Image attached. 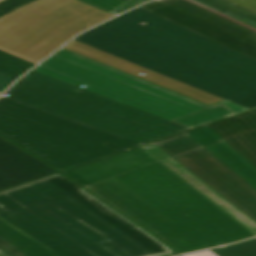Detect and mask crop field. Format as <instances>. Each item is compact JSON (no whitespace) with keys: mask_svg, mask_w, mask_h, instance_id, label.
<instances>
[{"mask_svg":"<svg viewBox=\"0 0 256 256\" xmlns=\"http://www.w3.org/2000/svg\"><path fill=\"white\" fill-rule=\"evenodd\" d=\"M219 256H256V238L237 244L228 246L227 248L214 249Z\"/></svg>","mask_w":256,"mask_h":256,"instance_id":"crop-field-19","label":"crop field"},{"mask_svg":"<svg viewBox=\"0 0 256 256\" xmlns=\"http://www.w3.org/2000/svg\"><path fill=\"white\" fill-rule=\"evenodd\" d=\"M76 169L84 174L86 177L91 179L93 182L98 184L104 190L109 192L111 195L116 197L122 203L127 205L129 208L134 210L140 216L145 218L151 224L156 226L158 229L163 231L169 237L181 244L187 250L191 251L195 249H200L188 239H186L184 236H182L180 233H178L176 230H174L172 227H170L168 224H166L164 221H162L160 218H158L156 215H154L152 212H150L148 209H146L144 206H142L140 203H138L136 200H134L132 197H130L131 195L129 196L128 194H126L127 192L125 193L124 191H122L123 189L121 190L120 188H118L119 186L117 187L116 185H114L115 183L113 184L112 182H110L111 180L109 181L107 178H105L106 176L104 177L89 164Z\"/></svg>","mask_w":256,"mask_h":256,"instance_id":"crop-field-12","label":"crop field"},{"mask_svg":"<svg viewBox=\"0 0 256 256\" xmlns=\"http://www.w3.org/2000/svg\"><path fill=\"white\" fill-rule=\"evenodd\" d=\"M104 11L117 15L140 3L150 0H80Z\"/></svg>","mask_w":256,"mask_h":256,"instance_id":"crop-field-18","label":"crop field"},{"mask_svg":"<svg viewBox=\"0 0 256 256\" xmlns=\"http://www.w3.org/2000/svg\"><path fill=\"white\" fill-rule=\"evenodd\" d=\"M182 256H217V255L214 252H212L211 250H208V251L192 253V254H187V255H182Z\"/></svg>","mask_w":256,"mask_h":256,"instance_id":"crop-field-21","label":"crop field"},{"mask_svg":"<svg viewBox=\"0 0 256 256\" xmlns=\"http://www.w3.org/2000/svg\"><path fill=\"white\" fill-rule=\"evenodd\" d=\"M147 152L152 156L158 159L161 163L183 178L186 182L208 197L211 201L229 213L232 217L250 229L256 234V222L245 215L242 211L220 196L217 192L199 180L196 176L174 161L171 157L157 148L155 145L151 144L146 147H143ZM253 233V234H254Z\"/></svg>","mask_w":256,"mask_h":256,"instance_id":"crop-field-14","label":"crop field"},{"mask_svg":"<svg viewBox=\"0 0 256 256\" xmlns=\"http://www.w3.org/2000/svg\"><path fill=\"white\" fill-rule=\"evenodd\" d=\"M16 78L0 73V93H2Z\"/></svg>","mask_w":256,"mask_h":256,"instance_id":"crop-field-20","label":"crop field"},{"mask_svg":"<svg viewBox=\"0 0 256 256\" xmlns=\"http://www.w3.org/2000/svg\"><path fill=\"white\" fill-rule=\"evenodd\" d=\"M34 71L191 128L250 111L75 40Z\"/></svg>","mask_w":256,"mask_h":256,"instance_id":"crop-field-3","label":"crop field"},{"mask_svg":"<svg viewBox=\"0 0 256 256\" xmlns=\"http://www.w3.org/2000/svg\"><path fill=\"white\" fill-rule=\"evenodd\" d=\"M256 59V32L186 0H160L140 6Z\"/></svg>","mask_w":256,"mask_h":256,"instance_id":"crop-field-9","label":"crop field"},{"mask_svg":"<svg viewBox=\"0 0 256 256\" xmlns=\"http://www.w3.org/2000/svg\"><path fill=\"white\" fill-rule=\"evenodd\" d=\"M6 93L11 94L8 98L142 144L191 129L34 71Z\"/></svg>","mask_w":256,"mask_h":256,"instance_id":"crop-field-5","label":"crop field"},{"mask_svg":"<svg viewBox=\"0 0 256 256\" xmlns=\"http://www.w3.org/2000/svg\"><path fill=\"white\" fill-rule=\"evenodd\" d=\"M57 173L0 137V190Z\"/></svg>","mask_w":256,"mask_h":256,"instance_id":"crop-field-10","label":"crop field"},{"mask_svg":"<svg viewBox=\"0 0 256 256\" xmlns=\"http://www.w3.org/2000/svg\"><path fill=\"white\" fill-rule=\"evenodd\" d=\"M32 1L34 0H4L0 2V16ZM33 66L35 64L0 50V72L19 78Z\"/></svg>","mask_w":256,"mask_h":256,"instance_id":"crop-field-17","label":"crop field"},{"mask_svg":"<svg viewBox=\"0 0 256 256\" xmlns=\"http://www.w3.org/2000/svg\"><path fill=\"white\" fill-rule=\"evenodd\" d=\"M187 134L256 190V165L229 143L207 126Z\"/></svg>","mask_w":256,"mask_h":256,"instance_id":"crop-field-11","label":"crop field"},{"mask_svg":"<svg viewBox=\"0 0 256 256\" xmlns=\"http://www.w3.org/2000/svg\"><path fill=\"white\" fill-rule=\"evenodd\" d=\"M65 175L76 181L81 186L85 187L86 189L92 191L94 194H96L98 197H100L102 200L110 203L112 206H114L116 209H118L120 212L128 216L129 218L135 220L151 232H153L155 235H157L159 238L165 240L170 246H172L177 252L179 253H185L188 252L185 248H183L181 245L176 243L174 240L169 238L167 235H165L163 232L158 230L156 227L151 225L149 222H147L145 219L140 217L138 214H136L134 211L129 209L127 206L122 204L120 201H118L116 198L111 196L109 193L104 191L102 188H100L98 185L93 183L91 180L86 178L84 175L79 173L77 170L73 169L70 171L63 172ZM91 192V193H92ZM109 204V205H110Z\"/></svg>","mask_w":256,"mask_h":256,"instance_id":"crop-field-16","label":"crop field"},{"mask_svg":"<svg viewBox=\"0 0 256 256\" xmlns=\"http://www.w3.org/2000/svg\"><path fill=\"white\" fill-rule=\"evenodd\" d=\"M112 16L78 0H41L0 19V49L37 64Z\"/></svg>","mask_w":256,"mask_h":256,"instance_id":"crop-field-7","label":"crop field"},{"mask_svg":"<svg viewBox=\"0 0 256 256\" xmlns=\"http://www.w3.org/2000/svg\"><path fill=\"white\" fill-rule=\"evenodd\" d=\"M0 1H2V0H0Z\"/></svg>","mask_w":256,"mask_h":256,"instance_id":"crop-field-22","label":"crop field"},{"mask_svg":"<svg viewBox=\"0 0 256 256\" xmlns=\"http://www.w3.org/2000/svg\"><path fill=\"white\" fill-rule=\"evenodd\" d=\"M208 127L256 164V110Z\"/></svg>","mask_w":256,"mask_h":256,"instance_id":"crop-field-13","label":"crop field"},{"mask_svg":"<svg viewBox=\"0 0 256 256\" xmlns=\"http://www.w3.org/2000/svg\"><path fill=\"white\" fill-rule=\"evenodd\" d=\"M75 40L250 110L256 108L255 59L140 7Z\"/></svg>","mask_w":256,"mask_h":256,"instance_id":"crop-field-2","label":"crop field"},{"mask_svg":"<svg viewBox=\"0 0 256 256\" xmlns=\"http://www.w3.org/2000/svg\"><path fill=\"white\" fill-rule=\"evenodd\" d=\"M154 144L256 221V191L186 133Z\"/></svg>","mask_w":256,"mask_h":256,"instance_id":"crop-field-8","label":"crop field"},{"mask_svg":"<svg viewBox=\"0 0 256 256\" xmlns=\"http://www.w3.org/2000/svg\"><path fill=\"white\" fill-rule=\"evenodd\" d=\"M90 165L201 249L255 236L142 148Z\"/></svg>","mask_w":256,"mask_h":256,"instance_id":"crop-field-4","label":"crop field"},{"mask_svg":"<svg viewBox=\"0 0 256 256\" xmlns=\"http://www.w3.org/2000/svg\"><path fill=\"white\" fill-rule=\"evenodd\" d=\"M256 31V0H188Z\"/></svg>","mask_w":256,"mask_h":256,"instance_id":"crop-field-15","label":"crop field"},{"mask_svg":"<svg viewBox=\"0 0 256 256\" xmlns=\"http://www.w3.org/2000/svg\"><path fill=\"white\" fill-rule=\"evenodd\" d=\"M0 135L59 171L142 145L4 97Z\"/></svg>","mask_w":256,"mask_h":256,"instance_id":"crop-field-6","label":"crop field"},{"mask_svg":"<svg viewBox=\"0 0 256 256\" xmlns=\"http://www.w3.org/2000/svg\"><path fill=\"white\" fill-rule=\"evenodd\" d=\"M172 254L60 174L0 192V256Z\"/></svg>","mask_w":256,"mask_h":256,"instance_id":"crop-field-1","label":"crop field"}]
</instances>
